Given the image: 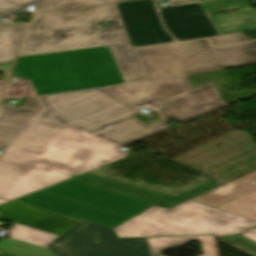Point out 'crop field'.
<instances>
[{
	"label": "crop field",
	"mask_w": 256,
	"mask_h": 256,
	"mask_svg": "<svg viewBox=\"0 0 256 256\" xmlns=\"http://www.w3.org/2000/svg\"><path fill=\"white\" fill-rule=\"evenodd\" d=\"M118 150L81 130L33 121L0 156V198L17 199L125 156Z\"/></svg>",
	"instance_id": "8a807250"
},
{
	"label": "crop field",
	"mask_w": 256,
	"mask_h": 256,
	"mask_svg": "<svg viewBox=\"0 0 256 256\" xmlns=\"http://www.w3.org/2000/svg\"><path fill=\"white\" fill-rule=\"evenodd\" d=\"M111 20L113 26L97 28ZM129 43L115 4L38 13L28 28L18 57Z\"/></svg>",
	"instance_id": "ac0d7876"
},
{
	"label": "crop field",
	"mask_w": 256,
	"mask_h": 256,
	"mask_svg": "<svg viewBox=\"0 0 256 256\" xmlns=\"http://www.w3.org/2000/svg\"><path fill=\"white\" fill-rule=\"evenodd\" d=\"M11 74L37 95L124 83L108 47L19 58Z\"/></svg>",
	"instance_id": "34b2d1b8"
},
{
	"label": "crop field",
	"mask_w": 256,
	"mask_h": 256,
	"mask_svg": "<svg viewBox=\"0 0 256 256\" xmlns=\"http://www.w3.org/2000/svg\"><path fill=\"white\" fill-rule=\"evenodd\" d=\"M145 80L256 64V41L209 47L206 40L133 48Z\"/></svg>",
	"instance_id": "412701ff"
},
{
	"label": "crop field",
	"mask_w": 256,
	"mask_h": 256,
	"mask_svg": "<svg viewBox=\"0 0 256 256\" xmlns=\"http://www.w3.org/2000/svg\"><path fill=\"white\" fill-rule=\"evenodd\" d=\"M256 222L188 201L172 209L153 206L134 219L114 228L119 238L214 234H238Z\"/></svg>",
	"instance_id": "f4fd0767"
},
{
	"label": "crop field",
	"mask_w": 256,
	"mask_h": 256,
	"mask_svg": "<svg viewBox=\"0 0 256 256\" xmlns=\"http://www.w3.org/2000/svg\"><path fill=\"white\" fill-rule=\"evenodd\" d=\"M132 106L153 102L163 121L184 123L207 113L227 107L211 84L191 91L184 75L107 86Z\"/></svg>",
	"instance_id": "dd49c442"
},
{
	"label": "crop field",
	"mask_w": 256,
	"mask_h": 256,
	"mask_svg": "<svg viewBox=\"0 0 256 256\" xmlns=\"http://www.w3.org/2000/svg\"><path fill=\"white\" fill-rule=\"evenodd\" d=\"M44 111L35 119L89 134L139 116L140 112L104 89L39 97Z\"/></svg>",
	"instance_id": "e52e79f7"
},
{
	"label": "crop field",
	"mask_w": 256,
	"mask_h": 256,
	"mask_svg": "<svg viewBox=\"0 0 256 256\" xmlns=\"http://www.w3.org/2000/svg\"><path fill=\"white\" fill-rule=\"evenodd\" d=\"M48 247L55 256H150L145 238L117 239L113 229L86 221Z\"/></svg>",
	"instance_id": "d8731c3e"
},
{
	"label": "crop field",
	"mask_w": 256,
	"mask_h": 256,
	"mask_svg": "<svg viewBox=\"0 0 256 256\" xmlns=\"http://www.w3.org/2000/svg\"><path fill=\"white\" fill-rule=\"evenodd\" d=\"M133 47L175 41L162 27L152 0L116 3Z\"/></svg>",
	"instance_id": "5a996713"
},
{
	"label": "crop field",
	"mask_w": 256,
	"mask_h": 256,
	"mask_svg": "<svg viewBox=\"0 0 256 256\" xmlns=\"http://www.w3.org/2000/svg\"><path fill=\"white\" fill-rule=\"evenodd\" d=\"M160 15L179 41L219 35L199 3L162 8Z\"/></svg>",
	"instance_id": "3316defc"
},
{
	"label": "crop field",
	"mask_w": 256,
	"mask_h": 256,
	"mask_svg": "<svg viewBox=\"0 0 256 256\" xmlns=\"http://www.w3.org/2000/svg\"><path fill=\"white\" fill-rule=\"evenodd\" d=\"M42 111L37 97L27 98L23 108L0 105V151H5Z\"/></svg>",
	"instance_id": "28ad6ade"
},
{
	"label": "crop field",
	"mask_w": 256,
	"mask_h": 256,
	"mask_svg": "<svg viewBox=\"0 0 256 256\" xmlns=\"http://www.w3.org/2000/svg\"><path fill=\"white\" fill-rule=\"evenodd\" d=\"M165 129H167V126L162 121H157L146 125L135 119L127 124L109 129L94 136L104 139L117 146H124Z\"/></svg>",
	"instance_id": "d1516ede"
},
{
	"label": "crop field",
	"mask_w": 256,
	"mask_h": 256,
	"mask_svg": "<svg viewBox=\"0 0 256 256\" xmlns=\"http://www.w3.org/2000/svg\"><path fill=\"white\" fill-rule=\"evenodd\" d=\"M251 180L256 182V171L198 196L193 200L216 207L220 204L256 190V183H247Z\"/></svg>",
	"instance_id": "22f410ed"
},
{
	"label": "crop field",
	"mask_w": 256,
	"mask_h": 256,
	"mask_svg": "<svg viewBox=\"0 0 256 256\" xmlns=\"http://www.w3.org/2000/svg\"><path fill=\"white\" fill-rule=\"evenodd\" d=\"M220 35L256 30V9L208 16ZM246 19L250 24H245Z\"/></svg>",
	"instance_id": "cbeb9de0"
},
{
	"label": "crop field",
	"mask_w": 256,
	"mask_h": 256,
	"mask_svg": "<svg viewBox=\"0 0 256 256\" xmlns=\"http://www.w3.org/2000/svg\"><path fill=\"white\" fill-rule=\"evenodd\" d=\"M147 239L152 254L181 246L189 241H197L201 244L203 255L196 256H219L214 236L159 237Z\"/></svg>",
	"instance_id": "5142ce71"
},
{
	"label": "crop field",
	"mask_w": 256,
	"mask_h": 256,
	"mask_svg": "<svg viewBox=\"0 0 256 256\" xmlns=\"http://www.w3.org/2000/svg\"><path fill=\"white\" fill-rule=\"evenodd\" d=\"M109 48L125 83L144 80L130 44Z\"/></svg>",
	"instance_id": "d9b57169"
},
{
	"label": "crop field",
	"mask_w": 256,
	"mask_h": 256,
	"mask_svg": "<svg viewBox=\"0 0 256 256\" xmlns=\"http://www.w3.org/2000/svg\"><path fill=\"white\" fill-rule=\"evenodd\" d=\"M25 26L0 22V64L13 60Z\"/></svg>",
	"instance_id": "733c2abd"
},
{
	"label": "crop field",
	"mask_w": 256,
	"mask_h": 256,
	"mask_svg": "<svg viewBox=\"0 0 256 256\" xmlns=\"http://www.w3.org/2000/svg\"><path fill=\"white\" fill-rule=\"evenodd\" d=\"M217 208L256 221V191Z\"/></svg>",
	"instance_id": "4a817a6b"
},
{
	"label": "crop field",
	"mask_w": 256,
	"mask_h": 256,
	"mask_svg": "<svg viewBox=\"0 0 256 256\" xmlns=\"http://www.w3.org/2000/svg\"><path fill=\"white\" fill-rule=\"evenodd\" d=\"M112 1L116 0H46L43 3L40 11L98 4Z\"/></svg>",
	"instance_id": "bc2a9ffb"
},
{
	"label": "crop field",
	"mask_w": 256,
	"mask_h": 256,
	"mask_svg": "<svg viewBox=\"0 0 256 256\" xmlns=\"http://www.w3.org/2000/svg\"><path fill=\"white\" fill-rule=\"evenodd\" d=\"M42 0H0V18L27 10L29 5L39 6Z\"/></svg>",
	"instance_id": "214f88e0"
},
{
	"label": "crop field",
	"mask_w": 256,
	"mask_h": 256,
	"mask_svg": "<svg viewBox=\"0 0 256 256\" xmlns=\"http://www.w3.org/2000/svg\"><path fill=\"white\" fill-rule=\"evenodd\" d=\"M36 95L30 82L25 79L18 78V82L8 84L3 98L24 97Z\"/></svg>",
	"instance_id": "92a150f3"
},
{
	"label": "crop field",
	"mask_w": 256,
	"mask_h": 256,
	"mask_svg": "<svg viewBox=\"0 0 256 256\" xmlns=\"http://www.w3.org/2000/svg\"><path fill=\"white\" fill-rule=\"evenodd\" d=\"M219 241L249 256H256V243L241 235L220 239Z\"/></svg>",
	"instance_id": "dafd665d"
},
{
	"label": "crop field",
	"mask_w": 256,
	"mask_h": 256,
	"mask_svg": "<svg viewBox=\"0 0 256 256\" xmlns=\"http://www.w3.org/2000/svg\"><path fill=\"white\" fill-rule=\"evenodd\" d=\"M212 45L226 44V43H235L246 41L245 37L241 33L210 37L208 38Z\"/></svg>",
	"instance_id": "00972430"
},
{
	"label": "crop field",
	"mask_w": 256,
	"mask_h": 256,
	"mask_svg": "<svg viewBox=\"0 0 256 256\" xmlns=\"http://www.w3.org/2000/svg\"><path fill=\"white\" fill-rule=\"evenodd\" d=\"M242 235H245V236H247V237L256 241V229H254V228L245 232V233H243Z\"/></svg>",
	"instance_id": "a9b5d70f"
},
{
	"label": "crop field",
	"mask_w": 256,
	"mask_h": 256,
	"mask_svg": "<svg viewBox=\"0 0 256 256\" xmlns=\"http://www.w3.org/2000/svg\"><path fill=\"white\" fill-rule=\"evenodd\" d=\"M171 5L175 4H182V3H188V2H195L197 0H169Z\"/></svg>",
	"instance_id": "4177f3b9"
},
{
	"label": "crop field",
	"mask_w": 256,
	"mask_h": 256,
	"mask_svg": "<svg viewBox=\"0 0 256 256\" xmlns=\"http://www.w3.org/2000/svg\"><path fill=\"white\" fill-rule=\"evenodd\" d=\"M12 62V61H11ZM11 62L4 64V65H0V70L5 71L8 73L10 66H11Z\"/></svg>",
	"instance_id": "730fd06b"
},
{
	"label": "crop field",
	"mask_w": 256,
	"mask_h": 256,
	"mask_svg": "<svg viewBox=\"0 0 256 256\" xmlns=\"http://www.w3.org/2000/svg\"><path fill=\"white\" fill-rule=\"evenodd\" d=\"M4 82H5V81L0 80V94H1V92H2Z\"/></svg>",
	"instance_id": "eef30255"
},
{
	"label": "crop field",
	"mask_w": 256,
	"mask_h": 256,
	"mask_svg": "<svg viewBox=\"0 0 256 256\" xmlns=\"http://www.w3.org/2000/svg\"><path fill=\"white\" fill-rule=\"evenodd\" d=\"M7 201H9V200L0 199V204L7 202Z\"/></svg>",
	"instance_id": "ae1a2a85"
},
{
	"label": "crop field",
	"mask_w": 256,
	"mask_h": 256,
	"mask_svg": "<svg viewBox=\"0 0 256 256\" xmlns=\"http://www.w3.org/2000/svg\"><path fill=\"white\" fill-rule=\"evenodd\" d=\"M256 228V227H255Z\"/></svg>",
	"instance_id": "d3111659"
}]
</instances>
